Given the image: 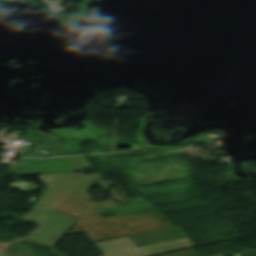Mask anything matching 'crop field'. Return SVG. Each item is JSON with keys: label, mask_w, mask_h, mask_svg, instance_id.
Returning a JSON list of instances; mask_svg holds the SVG:
<instances>
[{"label": "crop field", "mask_w": 256, "mask_h": 256, "mask_svg": "<svg viewBox=\"0 0 256 256\" xmlns=\"http://www.w3.org/2000/svg\"><path fill=\"white\" fill-rule=\"evenodd\" d=\"M94 244L104 254L102 256H147L193 245L189 238H186L140 246L141 249L134 251L132 248H136L137 246L129 239V237L96 242Z\"/></svg>", "instance_id": "ac0d7876"}, {"label": "crop field", "mask_w": 256, "mask_h": 256, "mask_svg": "<svg viewBox=\"0 0 256 256\" xmlns=\"http://www.w3.org/2000/svg\"><path fill=\"white\" fill-rule=\"evenodd\" d=\"M2 243H0V245H1Z\"/></svg>", "instance_id": "dd49c442"}, {"label": "crop field", "mask_w": 256, "mask_h": 256, "mask_svg": "<svg viewBox=\"0 0 256 256\" xmlns=\"http://www.w3.org/2000/svg\"><path fill=\"white\" fill-rule=\"evenodd\" d=\"M179 229H180L179 227H175V228H171V229H166V230H161V231H156V232H151V233H146V234H141V235H136V236H131L130 239L143 237V236H148V235H153V234L164 233V232H169V231H174V230H179Z\"/></svg>", "instance_id": "412701ff"}, {"label": "crop field", "mask_w": 256, "mask_h": 256, "mask_svg": "<svg viewBox=\"0 0 256 256\" xmlns=\"http://www.w3.org/2000/svg\"><path fill=\"white\" fill-rule=\"evenodd\" d=\"M42 1L47 3L48 9H49L50 13H52V14L66 11L65 9H63V8H61V7L56 5L58 2H61L63 0L56 1V2L47 1V0H42Z\"/></svg>", "instance_id": "34b2d1b8"}, {"label": "crop field", "mask_w": 256, "mask_h": 256, "mask_svg": "<svg viewBox=\"0 0 256 256\" xmlns=\"http://www.w3.org/2000/svg\"><path fill=\"white\" fill-rule=\"evenodd\" d=\"M20 218L41 225L28 240L50 246H53L78 220L38 204L31 212Z\"/></svg>", "instance_id": "8a807250"}, {"label": "crop field", "mask_w": 256, "mask_h": 256, "mask_svg": "<svg viewBox=\"0 0 256 256\" xmlns=\"http://www.w3.org/2000/svg\"><path fill=\"white\" fill-rule=\"evenodd\" d=\"M0 256H7V255H5V254H3V253L0 252Z\"/></svg>", "instance_id": "f4fd0767"}]
</instances>
